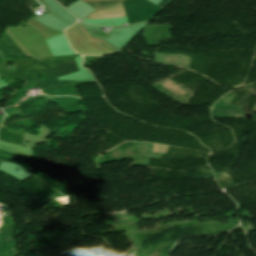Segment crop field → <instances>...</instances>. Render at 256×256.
I'll return each instance as SVG.
<instances>
[{
	"mask_svg": "<svg viewBox=\"0 0 256 256\" xmlns=\"http://www.w3.org/2000/svg\"><path fill=\"white\" fill-rule=\"evenodd\" d=\"M121 17H128L122 2L115 4L113 6H110V7L104 8L97 12H93V13L87 15L86 18L83 20L121 18Z\"/></svg>",
	"mask_w": 256,
	"mask_h": 256,
	"instance_id": "obj_1",
	"label": "crop field"
},
{
	"mask_svg": "<svg viewBox=\"0 0 256 256\" xmlns=\"http://www.w3.org/2000/svg\"><path fill=\"white\" fill-rule=\"evenodd\" d=\"M48 70L56 77H61L64 75H67L69 73L78 71V67L76 64L75 58L68 60L66 62L60 63L58 65H55L53 67L48 68Z\"/></svg>",
	"mask_w": 256,
	"mask_h": 256,
	"instance_id": "obj_2",
	"label": "crop field"
},
{
	"mask_svg": "<svg viewBox=\"0 0 256 256\" xmlns=\"http://www.w3.org/2000/svg\"><path fill=\"white\" fill-rule=\"evenodd\" d=\"M118 2H121V1H99V2H86V3L89 4L91 7H93L95 10H99L101 8L113 5Z\"/></svg>",
	"mask_w": 256,
	"mask_h": 256,
	"instance_id": "obj_3",
	"label": "crop field"
},
{
	"mask_svg": "<svg viewBox=\"0 0 256 256\" xmlns=\"http://www.w3.org/2000/svg\"><path fill=\"white\" fill-rule=\"evenodd\" d=\"M169 1L170 0H163L158 6L162 8Z\"/></svg>",
	"mask_w": 256,
	"mask_h": 256,
	"instance_id": "obj_4",
	"label": "crop field"
}]
</instances>
